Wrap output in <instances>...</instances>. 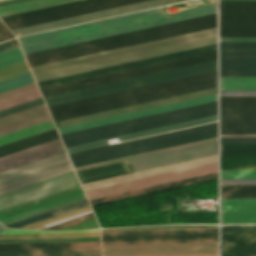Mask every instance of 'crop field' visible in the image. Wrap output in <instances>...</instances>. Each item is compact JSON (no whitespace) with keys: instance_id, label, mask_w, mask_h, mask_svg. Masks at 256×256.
<instances>
[{"instance_id":"214f88e0","label":"crop field","mask_w":256,"mask_h":256,"mask_svg":"<svg viewBox=\"0 0 256 256\" xmlns=\"http://www.w3.org/2000/svg\"><path fill=\"white\" fill-rule=\"evenodd\" d=\"M215 162H217V155L211 156V157H206V158H201V159H197V160L187 161V162H183V163L173 164V165H169V166L159 167V168H155V169L145 170V171H141V172L107 178V179H103V180L93 181V182H89V183H84L82 185H83L84 190L87 191V190H91V189H96V188L105 187V186H109V185H114V184L132 181V180H137V179H141V178L151 177V176L160 175V174H164V173L174 172V171H178V170L188 169V168L197 167V166H201V165L211 164V163H215Z\"/></svg>"},{"instance_id":"d3111659","label":"crop field","mask_w":256,"mask_h":256,"mask_svg":"<svg viewBox=\"0 0 256 256\" xmlns=\"http://www.w3.org/2000/svg\"><path fill=\"white\" fill-rule=\"evenodd\" d=\"M218 238V233L102 236V241Z\"/></svg>"},{"instance_id":"00972430","label":"crop field","mask_w":256,"mask_h":256,"mask_svg":"<svg viewBox=\"0 0 256 256\" xmlns=\"http://www.w3.org/2000/svg\"><path fill=\"white\" fill-rule=\"evenodd\" d=\"M221 134H256V110H221Z\"/></svg>"},{"instance_id":"ae633e8c","label":"crop field","mask_w":256,"mask_h":256,"mask_svg":"<svg viewBox=\"0 0 256 256\" xmlns=\"http://www.w3.org/2000/svg\"><path fill=\"white\" fill-rule=\"evenodd\" d=\"M85 198H86V197L81 198V199H78V200H75V201H72V202H69V203H66V204H62V205H59V206H56V207H53V208H50V209H47V210H44V211H41V212H38V213H35V214H32V215H29V216H26V217H22V218H19V219H16V220H13V221L4 223V225L9 224V223H12V222H15V221H18V220H21V219H24V218H27V217H30V216H33V215H36V214H39V213H42V212H45V211H49V210H52V209H55V208H58V207L67 205V204H70V203H73V202H76V201H79V200H82V199H85Z\"/></svg>"},{"instance_id":"0bd39190","label":"crop field","mask_w":256,"mask_h":256,"mask_svg":"<svg viewBox=\"0 0 256 256\" xmlns=\"http://www.w3.org/2000/svg\"><path fill=\"white\" fill-rule=\"evenodd\" d=\"M221 211H256V199H221Z\"/></svg>"},{"instance_id":"750c4746","label":"crop field","mask_w":256,"mask_h":256,"mask_svg":"<svg viewBox=\"0 0 256 256\" xmlns=\"http://www.w3.org/2000/svg\"><path fill=\"white\" fill-rule=\"evenodd\" d=\"M74 0H30L0 7V17Z\"/></svg>"},{"instance_id":"bd1437ed","label":"crop field","mask_w":256,"mask_h":256,"mask_svg":"<svg viewBox=\"0 0 256 256\" xmlns=\"http://www.w3.org/2000/svg\"><path fill=\"white\" fill-rule=\"evenodd\" d=\"M0 256H100V250L0 252Z\"/></svg>"},{"instance_id":"dafd665d","label":"crop field","mask_w":256,"mask_h":256,"mask_svg":"<svg viewBox=\"0 0 256 256\" xmlns=\"http://www.w3.org/2000/svg\"><path fill=\"white\" fill-rule=\"evenodd\" d=\"M60 140L42 144L15 154L0 158V173L64 152Z\"/></svg>"},{"instance_id":"c3a83c6f","label":"crop field","mask_w":256,"mask_h":256,"mask_svg":"<svg viewBox=\"0 0 256 256\" xmlns=\"http://www.w3.org/2000/svg\"><path fill=\"white\" fill-rule=\"evenodd\" d=\"M91 212V211H90ZM88 213V212H87ZM85 214V213H84ZM82 215V214H81ZM79 216V215H78ZM74 217H76V216H74ZM71 218H73V217H71ZM68 219H70V218H68ZM65 220H67V219H65ZM62 221H64V220H62ZM59 222H61V221H59ZM56 223H58V222H56ZM53 224H55V223H53ZM50 225H52V224H50ZM46 226H49V225H46ZM46 226H43V227H46ZM43 227H40V228H43ZM40 228H37V229H40Z\"/></svg>"},{"instance_id":"c035e120","label":"crop field","mask_w":256,"mask_h":256,"mask_svg":"<svg viewBox=\"0 0 256 256\" xmlns=\"http://www.w3.org/2000/svg\"><path fill=\"white\" fill-rule=\"evenodd\" d=\"M221 156H256V144H221Z\"/></svg>"},{"instance_id":"028f5c9d","label":"crop field","mask_w":256,"mask_h":256,"mask_svg":"<svg viewBox=\"0 0 256 256\" xmlns=\"http://www.w3.org/2000/svg\"><path fill=\"white\" fill-rule=\"evenodd\" d=\"M96 1H100V0H79V1L64 3V4H60V5L45 7V8H41V9L31 10V11H27V12H23V13H19V14H14V15L2 17L1 19L3 20V22H6V21L22 18V17L39 14V13L49 12V11H53V10L63 9V8H67V7L77 6V5L96 2Z\"/></svg>"},{"instance_id":"180be81f","label":"crop field","mask_w":256,"mask_h":256,"mask_svg":"<svg viewBox=\"0 0 256 256\" xmlns=\"http://www.w3.org/2000/svg\"><path fill=\"white\" fill-rule=\"evenodd\" d=\"M0 41H3V39L0 37Z\"/></svg>"},{"instance_id":"78b8030e","label":"crop field","mask_w":256,"mask_h":256,"mask_svg":"<svg viewBox=\"0 0 256 256\" xmlns=\"http://www.w3.org/2000/svg\"><path fill=\"white\" fill-rule=\"evenodd\" d=\"M220 42H256V38H220Z\"/></svg>"},{"instance_id":"92a150f3","label":"crop field","mask_w":256,"mask_h":256,"mask_svg":"<svg viewBox=\"0 0 256 256\" xmlns=\"http://www.w3.org/2000/svg\"><path fill=\"white\" fill-rule=\"evenodd\" d=\"M215 100H217V94L211 95V96H206V97H201V98H197V99H192V100H188V101L178 102V103H174V104H169V105H165V106L155 107V108H151V109H146V110H142V111L132 112V113H128V114H123V115H119V116L109 117V118H105V119H100V120H96V121L86 122V123L77 124V125H73V126L63 127V128H59L58 132H59V134H62V133H66V132H71V131L90 128V127H94V126L104 125V124H108V123L118 122V121H122V120L132 119V118H136V117H141V116H145V115H150V114L169 111V110H173V109L183 108V107H187V106L197 105V104H201V103L211 102V101H215Z\"/></svg>"},{"instance_id":"c21b1889","label":"crop field","mask_w":256,"mask_h":256,"mask_svg":"<svg viewBox=\"0 0 256 256\" xmlns=\"http://www.w3.org/2000/svg\"><path fill=\"white\" fill-rule=\"evenodd\" d=\"M221 224H256V212H221Z\"/></svg>"},{"instance_id":"e52e79f7","label":"crop field","mask_w":256,"mask_h":256,"mask_svg":"<svg viewBox=\"0 0 256 256\" xmlns=\"http://www.w3.org/2000/svg\"><path fill=\"white\" fill-rule=\"evenodd\" d=\"M217 70L216 60L44 97L54 106Z\"/></svg>"},{"instance_id":"b54c1fbb","label":"crop field","mask_w":256,"mask_h":256,"mask_svg":"<svg viewBox=\"0 0 256 256\" xmlns=\"http://www.w3.org/2000/svg\"><path fill=\"white\" fill-rule=\"evenodd\" d=\"M31 73H26L0 82V93L34 83Z\"/></svg>"},{"instance_id":"0f1d7ab4","label":"crop field","mask_w":256,"mask_h":256,"mask_svg":"<svg viewBox=\"0 0 256 256\" xmlns=\"http://www.w3.org/2000/svg\"><path fill=\"white\" fill-rule=\"evenodd\" d=\"M0 36L6 40L10 38H14V36L10 33V31L1 23L0 21Z\"/></svg>"},{"instance_id":"9d1cf04e","label":"crop field","mask_w":256,"mask_h":256,"mask_svg":"<svg viewBox=\"0 0 256 256\" xmlns=\"http://www.w3.org/2000/svg\"><path fill=\"white\" fill-rule=\"evenodd\" d=\"M93 217H94L93 213L91 212V213H88V214H85V215H82V216H79V217H76V218H73V219L55 224V225H52V226H49V227H46V228H43V229L57 230V229H60V228H63V227H66V226H69V225L87 220V219H90V218H93Z\"/></svg>"},{"instance_id":"0765c3eb","label":"crop field","mask_w":256,"mask_h":256,"mask_svg":"<svg viewBox=\"0 0 256 256\" xmlns=\"http://www.w3.org/2000/svg\"><path fill=\"white\" fill-rule=\"evenodd\" d=\"M36 88H37L36 84L34 83V84H31V85H28V86H25V87H22V88H18V89L0 94V100L11 97V96H14V95H17V94H20V93H23V92L30 91V90H33V89H36Z\"/></svg>"},{"instance_id":"d23c7cc5","label":"crop field","mask_w":256,"mask_h":256,"mask_svg":"<svg viewBox=\"0 0 256 256\" xmlns=\"http://www.w3.org/2000/svg\"><path fill=\"white\" fill-rule=\"evenodd\" d=\"M20 47L0 52V68L24 61Z\"/></svg>"},{"instance_id":"bc2a9ffb","label":"crop field","mask_w":256,"mask_h":256,"mask_svg":"<svg viewBox=\"0 0 256 256\" xmlns=\"http://www.w3.org/2000/svg\"><path fill=\"white\" fill-rule=\"evenodd\" d=\"M145 0H106L97 3H92L88 5L78 6L74 8L64 9L60 11L50 12L46 14H39L23 19H18L5 24L10 28H18L22 26L42 23L46 21L61 19L65 17L75 16L79 14L89 13L93 11L103 10L107 8L117 7L121 5L131 4L135 2H140Z\"/></svg>"},{"instance_id":"eef30255","label":"crop field","mask_w":256,"mask_h":256,"mask_svg":"<svg viewBox=\"0 0 256 256\" xmlns=\"http://www.w3.org/2000/svg\"><path fill=\"white\" fill-rule=\"evenodd\" d=\"M56 129H51L36 135H32L5 145L0 146V157L15 153L42 143L58 139Z\"/></svg>"},{"instance_id":"733c2abd","label":"crop field","mask_w":256,"mask_h":256,"mask_svg":"<svg viewBox=\"0 0 256 256\" xmlns=\"http://www.w3.org/2000/svg\"><path fill=\"white\" fill-rule=\"evenodd\" d=\"M222 256H256V226H223Z\"/></svg>"},{"instance_id":"25e5ab78","label":"crop field","mask_w":256,"mask_h":256,"mask_svg":"<svg viewBox=\"0 0 256 256\" xmlns=\"http://www.w3.org/2000/svg\"><path fill=\"white\" fill-rule=\"evenodd\" d=\"M215 140H217V138L211 139V140H206V141H201V142H197V143H192V144H188V145L178 146V147H174V148L164 149V150H160V151H155V152H151V153L141 154V155H137V156H132V157H128V158L118 159V160H114V161L104 162V163L95 164V165H91V166L81 167V168H77L76 171L88 169V168H92V167H97V166H102V165H106V164H111V163H115V162H120V161H124V160H129V159H133V158H138V157H142V156L152 155V154H156V153H161V152H165V151H170V150H174V149H179V148H183V147H188V146H192V145L211 142V141H215Z\"/></svg>"},{"instance_id":"0fb4a251","label":"crop field","mask_w":256,"mask_h":256,"mask_svg":"<svg viewBox=\"0 0 256 256\" xmlns=\"http://www.w3.org/2000/svg\"><path fill=\"white\" fill-rule=\"evenodd\" d=\"M221 178H256V170H221Z\"/></svg>"},{"instance_id":"cbeb9de0","label":"crop field","mask_w":256,"mask_h":256,"mask_svg":"<svg viewBox=\"0 0 256 256\" xmlns=\"http://www.w3.org/2000/svg\"><path fill=\"white\" fill-rule=\"evenodd\" d=\"M178 1H183V0H150V1H145V2H141V3L123 6V7H118V8H113V9L104 10V11H100V12L81 15V16H77V17L67 18V19H63V20H58V21H53V22L13 29L12 31L14 32V34L16 36H19V35H24V34H28V33L43 31V30H47V29L62 27V26H66V25L96 20V19H100V18L118 15V14L128 13V12L137 11V10H141V9L151 8V7L160 6V5H164V4L174 3V2H178Z\"/></svg>"},{"instance_id":"f0312440","label":"crop field","mask_w":256,"mask_h":256,"mask_svg":"<svg viewBox=\"0 0 256 256\" xmlns=\"http://www.w3.org/2000/svg\"><path fill=\"white\" fill-rule=\"evenodd\" d=\"M0 1H4V0H0Z\"/></svg>"},{"instance_id":"d9b57169","label":"crop field","mask_w":256,"mask_h":256,"mask_svg":"<svg viewBox=\"0 0 256 256\" xmlns=\"http://www.w3.org/2000/svg\"><path fill=\"white\" fill-rule=\"evenodd\" d=\"M214 50H216V44L205 46V47H200V48H195V49H190V50H186V51H181V52H177V53H169V54H165V55L155 56V57H151V58H147V59L133 61V62L125 63V64H120V65H116V66H111V67H107V68H103V69H98V70L89 71V72H85V73L75 74V75L57 78V79H53V80L43 81V82H39L38 85L40 88H42V87H46V86L56 85V84H60V83L70 82V81H74V80L84 79V78H88V77H93V76H97V75L107 74V73H111V72L121 71V70H125V69L135 68V67H139V66L149 65V64H153V63L163 62V61H167V60H172V59H176V58L186 57V56L200 54V53L214 51Z\"/></svg>"},{"instance_id":"1d79db26","label":"crop field","mask_w":256,"mask_h":256,"mask_svg":"<svg viewBox=\"0 0 256 256\" xmlns=\"http://www.w3.org/2000/svg\"><path fill=\"white\" fill-rule=\"evenodd\" d=\"M42 98L0 111V117L43 104Z\"/></svg>"},{"instance_id":"5866460e","label":"crop field","mask_w":256,"mask_h":256,"mask_svg":"<svg viewBox=\"0 0 256 256\" xmlns=\"http://www.w3.org/2000/svg\"><path fill=\"white\" fill-rule=\"evenodd\" d=\"M221 109H256V97H220Z\"/></svg>"},{"instance_id":"ac0d7876","label":"crop field","mask_w":256,"mask_h":256,"mask_svg":"<svg viewBox=\"0 0 256 256\" xmlns=\"http://www.w3.org/2000/svg\"><path fill=\"white\" fill-rule=\"evenodd\" d=\"M216 13V4L163 15L159 8L18 39L25 54Z\"/></svg>"},{"instance_id":"730fd06b","label":"crop field","mask_w":256,"mask_h":256,"mask_svg":"<svg viewBox=\"0 0 256 256\" xmlns=\"http://www.w3.org/2000/svg\"><path fill=\"white\" fill-rule=\"evenodd\" d=\"M79 249H100V242L0 245V251L79 250Z\"/></svg>"},{"instance_id":"dd49c442","label":"crop field","mask_w":256,"mask_h":256,"mask_svg":"<svg viewBox=\"0 0 256 256\" xmlns=\"http://www.w3.org/2000/svg\"><path fill=\"white\" fill-rule=\"evenodd\" d=\"M74 171L0 194V219L82 193Z\"/></svg>"},{"instance_id":"d14b1444","label":"crop field","mask_w":256,"mask_h":256,"mask_svg":"<svg viewBox=\"0 0 256 256\" xmlns=\"http://www.w3.org/2000/svg\"><path fill=\"white\" fill-rule=\"evenodd\" d=\"M86 200L87 199L76 202V203H73V204H77V203H80V202H83V201H86ZM73 204H70V205H73ZM70 205H67V206H70ZM67 206H64V207H67ZM64 207H61V208H64ZM61 208H58V209H61ZM58 209H55V210H58ZM55 210H52V211H55ZM52 211H49V212H52ZM49 212H46V213H49ZM42 214H45V213H42ZM42 214H39V215H42ZM39 215H36V216H39ZM36 216H33V217H36ZM33 217H30V218H33ZM30 218H27V219H30ZM27 219H24V220H27ZM24 220H21V221H24ZM21 221H18V222H21ZM15 223H17V222H15ZM12 224H14V223H12ZM9 225H11V224H9ZM6 226H8V225H6Z\"/></svg>"},{"instance_id":"3316defc","label":"crop field","mask_w":256,"mask_h":256,"mask_svg":"<svg viewBox=\"0 0 256 256\" xmlns=\"http://www.w3.org/2000/svg\"><path fill=\"white\" fill-rule=\"evenodd\" d=\"M220 37H256V1H220Z\"/></svg>"},{"instance_id":"1d83c4d3","label":"crop field","mask_w":256,"mask_h":256,"mask_svg":"<svg viewBox=\"0 0 256 256\" xmlns=\"http://www.w3.org/2000/svg\"><path fill=\"white\" fill-rule=\"evenodd\" d=\"M220 90H256V77H220Z\"/></svg>"},{"instance_id":"412701ff","label":"crop field","mask_w":256,"mask_h":256,"mask_svg":"<svg viewBox=\"0 0 256 256\" xmlns=\"http://www.w3.org/2000/svg\"><path fill=\"white\" fill-rule=\"evenodd\" d=\"M217 136V122L69 154L75 167Z\"/></svg>"},{"instance_id":"e1d0b9f6","label":"crop field","mask_w":256,"mask_h":256,"mask_svg":"<svg viewBox=\"0 0 256 256\" xmlns=\"http://www.w3.org/2000/svg\"><path fill=\"white\" fill-rule=\"evenodd\" d=\"M18 45L19 44H18L17 40L15 39V40L0 44V51L6 50V49H9V48L18 46Z\"/></svg>"},{"instance_id":"d8731c3e","label":"crop field","mask_w":256,"mask_h":256,"mask_svg":"<svg viewBox=\"0 0 256 256\" xmlns=\"http://www.w3.org/2000/svg\"><path fill=\"white\" fill-rule=\"evenodd\" d=\"M216 59V51L40 89L43 96Z\"/></svg>"},{"instance_id":"4177f3b9","label":"crop field","mask_w":256,"mask_h":256,"mask_svg":"<svg viewBox=\"0 0 256 256\" xmlns=\"http://www.w3.org/2000/svg\"><path fill=\"white\" fill-rule=\"evenodd\" d=\"M215 120H217V115L211 116V117H206V118H201V119H197V120H192V121H188V122L178 123V124H174V125H169V126H165V127L155 128V129H151V130H146V131H142V132L132 133V134H128V135L118 136V137H119V140L122 141V140L141 137V136H145V135L155 134V133H159V132L169 131V130H173V129L183 128V127H187V126L197 125V124H201V123L211 122V121H215ZM114 138H117V137H114ZM109 139H113V138H109ZM109 139L95 141V142L86 143V144L77 145V146H72V147H68L66 149H67L68 153H71V152H75V151H80V150H85V149H89V148L108 145L106 140H109Z\"/></svg>"},{"instance_id":"d32e631a","label":"crop field","mask_w":256,"mask_h":256,"mask_svg":"<svg viewBox=\"0 0 256 256\" xmlns=\"http://www.w3.org/2000/svg\"><path fill=\"white\" fill-rule=\"evenodd\" d=\"M52 120L0 137V145L54 128Z\"/></svg>"},{"instance_id":"e1f06a70","label":"crop field","mask_w":256,"mask_h":256,"mask_svg":"<svg viewBox=\"0 0 256 256\" xmlns=\"http://www.w3.org/2000/svg\"><path fill=\"white\" fill-rule=\"evenodd\" d=\"M221 169H256V157H221Z\"/></svg>"},{"instance_id":"7b73153f","label":"crop field","mask_w":256,"mask_h":256,"mask_svg":"<svg viewBox=\"0 0 256 256\" xmlns=\"http://www.w3.org/2000/svg\"><path fill=\"white\" fill-rule=\"evenodd\" d=\"M221 143H256V138H221Z\"/></svg>"},{"instance_id":"c5b07064","label":"crop field","mask_w":256,"mask_h":256,"mask_svg":"<svg viewBox=\"0 0 256 256\" xmlns=\"http://www.w3.org/2000/svg\"><path fill=\"white\" fill-rule=\"evenodd\" d=\"M221 137H256V135H221Z\"/></svg>"},{"instance_id":"fb207236","label":"crop field","mask_w":256,"mask_h":256,"mask_svg":"<svg viewBox=\"0 0 256 256\" xmlns=\"http://www.w3.org/2000/svg\"><path fill=\"white\" fill-rule=\"evenodd\" d=\"M5 229H7V228H5L4 226H2V225L0 224V232H2V231L5 230Z\"/></svg>"},{"instance_id":"1f2cbd36","label":"crop field","mask_w":256,"mask_h":256,"mask_svg":"<svg viewBox=\"0 0 256 256\" xmlns=\"http://www.w3.org/2000/svg\"><path fill=\"white\" fill-rule=\"evenodd\" d=\"M218 241V239H199V240H160V241H121V242H102V245L116 244H145V243H175V242H204Z\"/></svg>"},{"instance_id":"89e229c0","label":"crop field","mask_w":256,"mask_h":256,"mask_svg":"<svg viewBox=\"0 0 256 256\" xmlns=\"http://www.w3.org/2000/svg\"><path fill=\"white\" fill-rule=\"evenodd\" d=\"M84 196H85L84 193H82V194H79V195H76V196H73V197H70V198H67V199H64V200H60V201H57V202H54V203H51V204H48V205H45V206L33 209V210H30V211H27V212H24V213H21V214H17V215H14V216L2 219V220H0V222L4 223V222H7V221H10V220L22 217V216H26V215H29V214H32V213H35V212H38V211H41V210H44V209H47V208H50V207L62 204V203H66V202H69V201H72V200L84 197Z\"/></svg>"},{"instance_id":"34b2d1b8","label":"crop field","mask_w":256,"mask_h":256,"mask_svg":"<svg viewBox=\"0 0 256 256\" xmlns=\"http://www.w3.org/2000/svg\"><path fill=\"white\" fill-rule=\"evenodd\" d=\"M217 86V71L48 108L54 121Z\"/></svg>"},{"instance_id":"b80d0937","label":"crop field","mask_w":256,"mask_h":256,"mask_svg":"<svg viewBox=\"0 0 256 256\" xmlns=\"http://www.w3.org/2000/svg\"><path fill=\"white\" fill-rule=\"evenodd\" d=\"M221 198H256V186H221Z\"/></svg>"},{"instance_id":"425ffa30","label":"crop field","mask_w":256,"mask_h":256,"mask_svg":"<svg viewBox=\"0 0 256 256\" xmlns=\"http://www.w3.org/2000/svg\"><path fill=\"white\" fill-rule=\"evenodd\" d=\"M199 232H218V229H199V230H160V231H121V232H102V235H121V234H160V233H199Z\"/></svg>"},{"instance_id":"7312dd0a","label":"crop field","mask_w":256,"mask_h":256,"mask_svg":"<svg viewBox=\"0 0 256 256\" xmlns=\"http://www.w3.org/2000/svg\"><path fill=\"white\" fill-rule=\"evenodd\" d=\"M210 1V4H213L215 3V0H209Z\"/></svg>"},{"instance_id":"ade564c9","label":"crop field","mask_w":256,"mask_h":256,"mask_svg":"<svg viewBox=\"0 0 256 256\" xmlns=\"http://www.w3.org/2000/svg\"><path fill=\"white\" fill-rule=\"evenodd\" d=\"M21 1H26V0H9V1H4V2H0V6L11 4V3H16V2H21Z\"/></svg>"},{"instance_id":"ae1a2a85","label":"crop field","mask_w":256,"mask_h":256,"mask_svg":"<svg viewBox=\"0 0 256 256\" xmlns=\"http://www.w3.org/2000/svg\"><path fill=\"white\" fill-rule=\"evenodd\" d=\"M215 178H217V173L211 174V175H206V176H201V177H197V178L187 179V180H183V181L173 182V183H169V184L159 185V186H155V187L145 188V189H141V190H136V191H132V192H127V193H123V194H118V195H114V196L104 197V198H100V199H95V200H91L90 203H91V205H94V204L113 201V200H117V199L127 198V197H131V196L141 195V194H145V193L155 192V191H159V190L169 189V188H173V187L183 186V185H187V184L197 183V182H201V181L211 180V179H215Z\"/></svg>"},{"instance_id":"db79e9e6","label":"crop field","mask_w":256,"mask_h":256,"mask_svg":"<svg viewBox=\"0 0 256 256\" xmlns=\"http://www.w3.org/2000/svg\"><path fill=\"white\" fill-rule=\"evenodd\" d=\"M90 210H91V208L89 207V208H86V209H83V210H80V211H77V212H74V213H71V214L59 217V218H55V219H52V220H49V221H46V222H43V223L31 226V227H28V229H34V228H37V227H40V226H43V225H46V224H50V223H53V222H56V221H59V220H62V219L74 216V215H78V214L90 211Z\"/></svg>"},{"instance_id":"03da06ac","label":"crop field","mask_w":256,"mask_h":256,"mask_svg":"<svg viewBox=\"0 0 256 256\" xmlns=\"http://www.w3.org/2000/svg\"><path fill=\"white\" fill-rule=\"evenodd\" d=\"M82 236H100V232L0 235V239L45 238V237H82Z\"/></svg>"},{"instance_id":"c39391a2","label":"crop field","mask_w":256,"mask_h":256,"mask_svg":"<svg viewBox=\"0 0 256 256\" xmlns=\"http://www.w3.org/2000/svg\"><path fill=\"white\" fill-rule=\"evenodd\" d=\"M160 256H218V254H199V255H160Z\"/></svg>"},{"instance_id":"5d738f31","label":"crop field","mask_w":256,"mask_h":256,"mask_svg":"<svg viewBox=\"0 0 256 256\" xmlns=\"http://www.w3.org/2000/svg\"><path fill=\"white\" fill-rule=\"evenodd\" d=\"M40 97L41 96L37 89L27 93H23V94L0 101V110L15 106L27 101H31Z\"/></svg>"},{"instance_id":"4a817a6b","label":"crop field","mask_w":256,"mask_h":256,"mask_svg":"<svg viewBox=\"0 0 256 256\" xmlns=\"http://www.w3.org/2000/svg\"><path fill=\"white\" fill-rule=\"evenodd\" d=\"M215 93H217V87L211 88V89H206V90H201V91H197V92L187 93V94H183V95L173 96V97H169V98L159 99V100H155V101L145 102V103H141V104L131 105V106H127V107L117 108V109H113V110L103 111V112H99V113L89 114V115H85V116L75 117V118H71V119L61 120V121H57L55 123H56V127L59 128V127H63V126L73 125V124H77V123L96 120V119H100V118H105V117H109V116L119 115V114L128 113V112H132V111L151 108V107H155V106L165 105V104L174 103V102H178V101H183V100H188V99L197 98V97H201V96L211 95V94H215Z\"/></svg>"},{"instance_id":"5142ce71","label":"crop field","mask_w":256,"mask_h":256,"mask_svg":"<svg viewBox=\"0 0 256 256\" xmlns=\"http://www.w3.org/2000/svg\"><path fill=\"white\" fill-rule=\"evenodd\" d=\"M217 154V141L128 161L133 172Z\"/></svg>"},{"instance_id":"5a996713","label":"crop field","mask_w":256,"mask_h":256,"mask_svg":"<svg viewBox=\"0 0 256 256\" xmlns=\"http://www.w3.org/2000/svg\"><path fill=\"white\" fill-rule=\"evenodd\" d=\"M66 153H61L0 174V193L72 170Z\"/></svg>"},{"instance_id":"447ae74e","label":"crop field","mask_w":256,"mask_h":256,"mask_svg":"<svg viewBox=\"0 0 256 256\" xmlns=\"http://www.w3.org/2000/svg\"><path fill=\"white\" fill-rule=\"evenodd\" d=\"M83 231H100V230H69V231H41V230H19L7 229L0 234H15V233H49V232H83Z\"/></svg>"},{"instance_id":"dbb93151","label":"crop field","mask_w":256,"mask_h":256,"mask_svg":"<svg viewBox=\"0 0 256 256\" xmlns=\"http://www.w3.org/2000/svg\"><path fill=\"white\" fill-rule=\"evenodd\" d=\"M86 238H100V237H82V238H46V239H9L2 241H30V240H58V239H86ZM81 241H100V239H86V240H58V241H30V242H2L4 243H42V242H81Z\"/></svg>"},{"instance_id":"a9b5d70f","label":"crop field","mask_w":256,"mask_h":256,"mask_svg":"<svg viewBox=\"0 0 256 256\" xmlns=\"http://www.w3.org/2000/svg\"><path fill=\"white\" fill-rule=\"evenodd\" d=\"M50 119L45 104L0 118V136Z\"/></svg>"},{"instance_id":"f4fd0767","label":"crop field","mask_w":256,"mask_h":256,"mask_svg":"<svg viewBox=\"0 0 256 256\" xmlns=\"http://www.w3.org/2000/svg\"><path fill=\"white\" fill-rule=\"evenodd\" d=\"M217 114V101L60 135L72 146Z\"/></svg>"},{"instance_id":"d1516ede","label":"crop field","mask_w":256,"mask_h":256,"mask_svg":"<svg viewBox=\"0 0 256 256\" xmlns=\"http://www.w3.org/2000/svg\"><path fill=\"white\" fill-rule=\"evenodd\" d=\"M220 76H256V43H220Z\"/></svg>"},{"instance_id":"120bbe31","label":"crop field","mask_w":256,"mask_h":256,"mask_svg":"<svg viewBox=\"0 0 256 256\" xmlns=\"http://www.w3.org/2000/svg\"><path fill=\"white\" fill-rule=\"evenodd\" d=\"M125 165H126L128 171L131 172L126 162H125ZM126 172H127V170H126L124 164L121 163V164H117V165H112V166H108V167H103V168H99V169L81 172L79 174L81 176L82 181L85 182V181H89V180L99 179V178L122 174V173H126Z\"/></svg>"},{"instance_id":"73cf0c24","label":"crop field","mask_w":256,"mask_h":256,"mask_svg":"<svg viewBox=\"0 0 256 256\" xmlns=\"http://www.w3.org/2000/svg\"><path fill=\"white\" fill-rule=\"evenodd\" d=\"M88 204H89L88 201H86V202H83V203H80V204H77V205H73V206H70V207H67V208H64V209H61V210L49 213V214H45V215H42V216L30 219V220L21 222V223H17V224L8 226V227H10V228H18V227H21V226H24V225H27V224H30V223H33V222H36V221H39V220L51 217V216H55V215H58V214H61V213H64V212H67V211H70V210H73V209L85 206V205H88Z\"/></svg>"},{"instance_id":"22f410ed","label":"crop field","mask_w":256,"mask_h":256,"mask_svg":"<svg viewBox=\"0 0 256 256\" xmlns=\"http://www.w3.org/2000/svg\"><path fill=\"white\" fill-rule=\"evenodd\" d=\"M215 172H217V163L201 166L197 168H192L188 170L178 171L174 173L164 174L160 176H155L151 178L141 179L137 181H132L128 183H123L119 185H114L110 187L91 190L85 193L88 199L91 200V199L109 196L113 194L141 189L145 187H150V186L169 183L173 181L183 180L187 178L197 177L201 175L211 174Z\"/></svg>"},{"instance_id":"28ad6ade","label":"crop field","mask_w":256,"mask_h":256,"mask_svg":"<svg viewBox=\"0 0 256 256\" xmlns=\"http://www.w3.org/2000/svg\"><path fill=\"white\" fill-rule=\"evenodd\" d=\"M218 253V242L102 246V256Z\"/></svg>"},{"instance_id":"8a807250","label":"crop field","mask_w":256,"mask_h":256,"mask_svg":"<svg viewBox=\"0 0 256 256\" xmlns=\"http://www.w3.org/2000/svg\"><path fill=\"white\" fill-rule=\"evenodd\" d=\"M216 27V14L25 55L37 66ZM216 43V28L31 68L37 82Z\"/></svg>"}]
</instances>
